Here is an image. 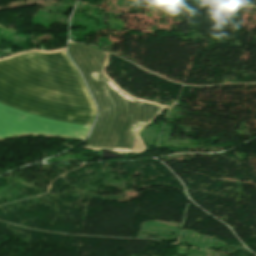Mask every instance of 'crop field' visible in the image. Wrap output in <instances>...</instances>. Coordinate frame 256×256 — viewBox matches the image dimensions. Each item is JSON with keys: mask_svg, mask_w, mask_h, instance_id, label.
<instances>
[{"mask_svg": "<svg viewBox=\"0 0 256 256\" xmlns=\"http://www.w3.org/2000/svg\"><path fill=\"white\" fill-rule=\"evenodd\" d=\"M0 102L63 121L92 124L94 103L65 51L0 61ZM0 103V139L24 134L83 138L88 125L41 117Z\"/></svg>", "mask_w": 256, "mask_h": 256, "instance_id": "crop-field-1", "label": "crop field"}, {"mask_svg": "<svg viewBox=\"0 0 256 256\" xmlns=\"http://www.w3.org/2000/svg\"><path fill=\"white\" fill-rule=\"evenodd\" d=\"M69 54L80 68L100 109L84 147L130 152L137 139L136 132L162 108L128 98L106 78L102 68L107 52L70 42Z\"/></svg>", "mask_w": 256, "mask_h": 256, "instance_id": "crop-field-2", "label": "crop field"}]
</instances>
